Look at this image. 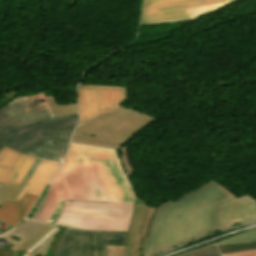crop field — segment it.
<instances>
[{"label":"crop field","instance_id":"obj_1","mask_svg":"<svg viewBox=\"0 0 256 256\" xmlns=\"http://www.w3.org/2000/svg\"><path fill=\"white\" fill-rule=\"evenodd\" d=\"M36 220L83 230L128 231L136 196L115 150L70 143Z\"/></svg>","mask_w":256,"mask_h":256},{"label":"crop field","instance_id":"obj_2","mask_svg":"<svg viewBox=\"0 0 256 256\" xmlns=\"http://www.w3.org/2000/svg\"><path fill=\"white\" fill-rule=\"evenodd\" d=\"M256 222V201L232 193L211 181L188 193L176 203L168 201L157 208L142 255L153 256L193 239L233 227Z\"/></svg>","mask_w":256,"mask_h":256},{"label":"crop field","instance_id":"obj_3","mask_svg":"<svg viewBox=\"0 0 256 256\" xmlns=\"http://www.w3.org/2000/svg\"><path fill=\"white\" fill-rule=\"evenodd\" d=\"M78 115L54 119L43 93L14 99L0 110V150L63 161Z\"/></svg>","mask_w":256,"mask_h":256},{"label":"crop field","instance_id":"obj_4","mask_svg":"<svg viewBox=\"0 0 256 256\" xmlns=\"http://www.w3.org/2000/svg\"><path fill=\"white\" fill-rule=\"evenodd\" d=\"M152 121L148 115L119 107L76 127L71 139L122 146Z\"/></svg>","mask_w":256,"mask_h":256},{"label":"crop field","instance_id":"obj_5","mask_svg":"<svg viewBox=\"0 0 256 256\" xmlns=\"http://www.w3.org/2000/svg\"><path fill=\"white\" fill-rule=\"evenodd\" d=\"M238 0H144L141 24L200 18L205 12Z\"/></svg>","mask_w":256,"mask_h":256},{"label":"crop field","instance_id":"obj_6","mask_svg":"<svg viewBox=\"0 0 256 256\" xmlns=\"http://www.w3.org/2000/svg\"><path fill=\"white\" fill-rule=\"evenodd\" d=\"M127 233L67 228L55 256H105V245H125Z\"/></svg>","mask_w":256,"mask_h":256},{"label":"crop field","instance_id":"obj_7","mask_svg":"<svg viewBox=\"0 0 256 256\" xmlns=\"http://www.w3.org/2000/svg\"><path fill=\"white\" fill-rule=\"evenodd\" d=\"M126 95L125 88L108 86L79 85L78 107L80 124L116 108Z\"/></svg>","mask_w":256,"mask_h":256},{"label":"crop field","instance_id":"obj_8","mask_svg":"<svg viewBox=\"0 0 256 256\" xmlns=\"http://www.w3.org/2000/svg\"><path fill=\"white\" fill-rule=\"evenodd\" d=\"M156 209L137 199L128 231L126 246H106V256H142V237H146L152 215Z\"/></svg>","mask_w":256,"mask_h":256},{"label":"crop field","instance_id":"obj_9","mask_svg":"<svg viewBox=\"0 0 256 256\" xmlns=\"http://www.w3.org/2000/svg\"><path fill=\"white\" fill-rule=\"evenodd\" d=\"M35 160L4 146L0 151V183L19 186Z\"/></svg>","mask_w":256,"mask_h":256},{"label":"crop field","instance_id":"obj_10","mask_svg":"<svg viewBox=\"0 0 256 256\" xmlns=\"http://www.w3.org/2000/svg\"><path fill=\"white\" fill-rule=\"evenodd\" d=\"M37 195L25 193L20 203L7 201L0 207V221L14 227L20 223L37 199Z\"/></svg>","mask_w":256,"mask_h":256},{"label":"crop field","instance_id":"obj_11","mask_svg":"<svg viewBox=\"0 0 256 256\" xmlns=\"http://www.w3.org/2000/svg\"><path fill=\"white\" fill-rule=\"evenodd\" d=\"M61 164L42 160L22 189L15 202L19 203L25 192L40 195L48 179Z\"/></svg>","mask_w":256,"mask_h":256},{"label":"crop field","instance_id":"obj_12","mask_svg":"<svg viewBox=\"0 0 256 256\" xmlns=\"http://www.w3.org/2000/svg\"><path fill=\"white\" fill-rule=\"evenodd\" d=\"M41 160L37 159L36 162L33 164V166L28 171L27 175L23 179L22 183L19 187L16 186H10L5 184H0V206L4 204L7 200L14 201V199L17 197L21 189L26 184L27 180L29 179L30 175L34 171V169L37 167V165L40 163Z\"/></svg>","mask_w":256,"mask_h":256},{"label":"crop field","instance_id":"obj_13","mask_svg":"<svg viewBox=\"0 0 256 256\" xmlns=\"http://www.w3.org/2000/svg\"><path fill=\"white\" fill-rule=\"evenodd\" d=\"M50 107L52 109V112L55 117L63 116L71 113H77V105H70V106H59L56 104L52 96H46Z\"/></svg>","mask_w":256,"mask_h":256},{"label":"crop field","instance_id":"obj_14","mask_svg":"<svg viewBox=\"0 0 256 256\" xmlns=\"http://www.w3.org/2000/svg\"><path fill=\"white\" fill-rule=\"evenodd\" d=\"M251 241H256V229L246 231L244 233L230 237L216 244L221 245V244H231V243H241V242H251Z\"/></svg>","mask_w":256,"mask_h":256},{"label":"crop field","instance_id":"obj_15","mask_svg":"<svg viewBox=\"0 0 256 256\" xmlns=\"http://www.w3.org/2000/svg\"><path fill=\"white\" fill-rule=\"evenodd\" d=\"M220 253L256 249V242L218 246Z\"/></svg>","mask_w":256,"mask_h":256},{"label":"crop field","instance_id":"obj_16","mask_svg":"<svg viewBox=\"0 0 256 256\" xmlns=\"http://www.w3.org/2000/svg\"><path fill=\"white\" fill-rule=\"evenodd\" d=\"M54 226V225H53ZM51 225L45 224L37 233H35L19 250L27 251L34 243L44 236L51 228Z\"/></svg>","mask_w":256,"mask_h":256},{"label":"crop field","instance_id":"obj_17","mask_svg":"<svg viewBox=\"0 0 256 256\" xmlns=\"http://www.w3.org/2000/svg\"><path fill=\"white\" fill-rule=\"evenodd\" d=\"M183 256H221L215 245L188 253Z\"/></svg>","mask_w":256,"mask_h":256},{"label":"crop field","instance_id":"obj_18","mask_svg":"<svg viewBox=\"0 0 256 256\" xmlns=\"http://www.w3.org/2000/svg\"><path fill=\"white\" fill-rule=\"evenodd\" d=\"M251 255H256V250L222 254V256H251Z\"/></svg>","mask_w":256,"mask_h":256},{"label":"crop field","instance_id":"obj_19","mask_svg":"<svg viewBox=\"0 0 256 256\" xmlns=\"http://www.w3.org/2000/svg\"><path fill=\"white\" fill-rule=\"evenodd\" d=\"M57 227L55 226L51 231H49L43 238H41L35 245H33L28 252H32L38 245H40Z\"/></svg>","mask_w":256,"mask_h":256},{"label":"crop field","instance_id":"obj_20","mask_svg":"<svg viewBox=\"0 0 256 256\" xmlns=\"http://www.w3.org/2000/svg\"><path fill=\"white\" fill-rule=\"evenodd\" d=\"M18 253H19V251L17 253H15L10 250L5 256H17Z\"/></svg>","mask_w":256,"mask_h":256},{"label":"crop field","instance_id":"obj_21","mask_svg":"<svg viewBox=\"0 0 256 256\" xmlns=\"http://www.w3.org/2000/svg\"><path fill=\"white\" fill-rule=\"evenodd\" d=\"M37 249L38 247L31 254L26 252L24 256H35Z\"/></svg>","mask_w":256,"mask_h":256}]
</instances>
